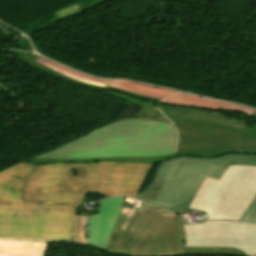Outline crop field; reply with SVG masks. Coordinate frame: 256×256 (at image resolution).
<instances>
[{
	"label": "crop field",
	"instance_id": "8a807250",
	"mask_svg": "<svg viewBox=\"0 0 256 256\" xmlns=\"http://www.w3.org/2000/svg\"><path fill=\"white\" fill-rule=\"evenodd\" d=\"M155 165L21 162L0 171V237L28 238L32 204H72L87 192L132 197Z\"/></svg>",
	"mask_w": 256,
	"mask_h": 256
},
{
	"label": "crop field",
	"instance_id": "ac0d7876",
	"mask_svg": "<svg viewBox=\"0 0 256 256\" xmlns=\"http://www.w3.org/2000/svg\"><path fill=\"white\" fill-rule=\"evenodd\" d=\"M176 141L173 124L124 119L109 123L36 157L155 156L174 153Z\"/></svg>",
	"mask_w": 256,
	"mask_h": 256
},
{
	"label": "crop field",
	"instance_id": "34b2d1b8",
	"mask_svg": "<svg viewBox=\"0 0 256 256\" xmlns=\"http://www.w3.org/2000/svg\"><path fill=\"white\" fill-rule=\"evenodd\" d=\"M228 166L215 159H170L159 164L146 189L133 198L171 211L190 202L206 176L219 179Z\"/></svg>",
	"mask_w": 256,
	"mask_h": 256
},
{
	"label": "crop field",
	"instance_id": "412701ff",
	"mask_svg": "<svg viewBox=\"0 0 256 256\" xmlns=\"http://www.w3.org/2000/svg\"><path fill=\"white\" fill-rule=\"evenodd\" d=\"M256 195V166L231 164L219 180L206 177L189 208L208 214L206 219L239 221Z\"/></svg>",
	"mask_w": 256,
	"mask_h": 256
},
{
	"label": "crop field",
	"instance_id": "f4fd0767",
	"mask_svg": "<svg viewBox=\"0 0 256 256\" xmlns=\"http://www.w3.org/2000/svg\"><path fill=\"white\" fill-rule=\"evenodd\" d=\"M185 255L256 253V225L231 221L184 224Z\"/></svg>",
	"mask_w": 256,
	"mask_h": 256
},
{
	"label": "crop field",
	"instance_id": "dd49c442",
	"mask_svg": "<svg viewBox=\"0 0 256 256\" xmlns=\"http://www.w3.org/2000/svg\"><path fill=\"white\" fill-rule=\"evenodd\" d=\"M178 129V156L214 158L228 152L235 153L240 131L248 123L240 121L237 128L166 115Z\"/></svg>",
	"mask_w": 256,
	"mask_h": 256
},
{
	"label": "crop field",
	"instance_id": "e52e79f7",
	"mask_svg": "<svg viewBox=\"0 0 256 256\" xmlns=\"http://www.w3.org/2000/svg\"><path fill=\"white\" fill-rule=\"evenodd\" d=\"M29 239L85 243V217L71 205H33Z\"/></svg>",
	"mask_w": 256,
	"mask_h": 256
},
{
	"label": "crop field",
	"instance_id": "d8731c3e",
	"mask_svg": "<svg viewBox=\"0 0 256 256\" xmlns=\"http://www.w3.org/2000/svg\"><path fill=\"white\" fill-rule=\"evenodd\" d=\"M175 216L158 209L148 230L133 231L129 256H175Z\"/></svg>",
	"mask_w": 256,
	"mask_h": 256
},
{
	"label": "crop field",
	"instance_id": "5a996713",
	"mask_svg": "<svg viewBox=\"0 0 256 256\" xmlns=\"http://www.w3.org/2000/svg\"><path fill=\"white\" fill-rule=\"evenodd\" d=\"M124 197H110L99 201V211L88 215V242L99 249L105 250L121 208Z\"/></svg>",
	"mask_w": 256,
	"mask_h": 256
},
{
	"label": "crop field",
	"instance_id": "3316defc",
	"mask_svg": "<svg viewBox=\"0 0 256 256\" xmlns=\"http://www.w3.org/2000/svg\"><path fill=\"white\" fill-rule=\"evenodd\" d=\"M156 211L157 208L141 203L127 230L112 232L107 251L128 256L132 230L147 229Z\"/></svg>",
	"mask_w": 256,
	"mask_h": 256
},
{
	"label": "crop field",
	"instance_id": "28ad6ade",
	"mask_svg": "<svg viewBox=\"0 0 256 256\" xmlns=\"http://www.w3.org/2000/svg\"><path fill=\"white\" fill-rule=\"evenodd\" d=\"M160 103L172 106H189L196 108H203L217 111L218 107L228 109L231 111L241 112L246 115H251L253 110L240 107L238 105L213 101L208 99L199 98L193 95H179L170 97Z\"/></svg>",
	"mask_w": 256,
	"mask_h": 256
},
{
	"label": "crop field",
	"instance_id": "d1516ede",
	"mask_svg": "<svg viewBox=\"0 0 256 256\" xmlns=\"http://www.w3.org/2000/svg\"><path fill=\"white\" fill-rule=\"evenodd\" d=\"M159 109L164 112L170 111V115H176L186 118H192L212 123H217L229 127H236L235 122L236 119H230L222 115L221 113L203 110V109H196V108H189V107H171V106H164L160 105Z\"/></svg>",
	"mask_w": 256,
	"mask_h": 256
},
{
	"label": "crop field",
	"instance_id": "22f410ed",
	"mask_svg": "<svg viewBox=\"0 0 256 256\" xmlns=\"http://www.w3.org/2000/svg\"><path fill=\"white\" fill-rule=\"evenodd\" d=\"M45 241L0 239V256H45Z\"/></svg>",
	"mask_w": 256,
	"mask_h": 256
},
{
	"label": "crop field",
	"instance_id": "cbeb9de0",
	"mask_svg": "<svg viewBox=\"0 0 256 256\" xmlns=\"http://www.w3.org/2000/svg\"><path fill=\"white\" fill-rule=\"evenodd\" d=\"M172 157H174L173 154L160 155L155 157H118V158H84V159L32 158L28 161L36 164L74 163V162H91V161H114L119 163H160Z\"/></svg>",
	"mask_w": 256,
	"mask_h": 256
},
{
	"label": "crop field",
	"instance_id": "5142ce71",
	"mask_svg": "<svg viewBox=\"0 0 256 256\" xmlns=\"http://www.w3.org/2000/svg\"><path fill=\"white\" fill-rule=\"evenodd\" d=\"M104 93L141 107L142 109L132 114L135 116L146 115V114L158 111L156 108L150 105L161 100V99L151 98V97L119 90L109 86L105 89Z\"/></svg>",
	"mask_w": 256,
	"mask_h": 256
},
{
	"label": "crop field",
	"instance_id": "d9b57169",
	"mask_svg": "<svg viewBox=\"0 0 256 256\" xmlns=\"http://www.w3.org/2000/svg\"><path fill=\"white\" fill-rule=\"evenodd\" d=\"M109 86L161 99H165L171 95L181 93L177 91L165 90L143 84L119 80H111Z\"/></svg>",
	"mask_w": 256,
	"mask_h": 256
},
{
	"label": "crop field",
	"instance_id": "733c2abd",
	"mask_svg": "<svg viewBox=\"0 0 256 256\" xmlns=\"http://www.w3.org/2000/svg\"><path fill=\"white\" fill-rule=\"evenodd\" d=\"M215 159L221 160L226 163H239V164H250V165H256V155L252 154H226L219 156ZM240 221H246V222H255L256 223V197L253 200V202L250 204L248 209L243 214Z\"/></svg>",
	"mask_w": 256,
	"mask_h": 256
},
{
	"label": "crop field",
	"instance_id": "4a817a6b",
	"mask_svg": "<svg viewBox=\"0 0 256 256\" xmlns=\"http://www.w3.org/2000/svg\"><path fill=\"white\" fill-rule=\"evenodd\" d=\"M14 52L26 64L32 66L33 68H35V69H37V70H39L41 72H44L46 74L52 75V76H54L56 78H59V79H61L63 81H67V82H69L71 84H74V85H77V86H80V87L88 88V89H91V90H96V91H99L101 93L105 89L103 87L92 86V85H88L86 83L78 82V81H76V80H74L72 78H69V77H67L65 75H62V74H60L58 72H55V71H53V70H51V69H49V68H47V67H45V66H43V65H41L39 63L34 62L36 59H38L39 56H36L34 54H27V53H22V52H16V51H14Z\"/></svg>",
	"mask_w": 256,
	"mask_h": 256
},
{
	"label": "crop field",
	"instance_id": "bc2a9ffb",
	"mask_svg": "<svg viewBox=\"0 0 256 256\" xmlns=\"http://www.w3.org/2000/svg\"><path fill=\"white\" fill-rule=\"evenodd\" d=\"M36 62H39L45 66H48L62 74H65L69 77H72L78 81H82V82H86L88 84H93V85H98V86H103V87H106L107 83H108V80H103V79H95V78H92V77H89V76H86V75H83V74H80V73H77L75 71H72L68 68H65V67H62L56 63H51L43 58H39L38 60H36Z\"/></svg>",
	"mask_w": 256,
	"mask_h": 256
},
{
	"label": "crop field",
	"instance_id": "214f88e0",
	"mask_svg": "<svg viewBox=\"0 0 256 256\" xmlns=\"http://www.w3.org/2000/svg\"><path fill=\"white\" fill-rule=\"evenodd\" d=\"M236 153L256 154V125L253 124L250 130L242 129Z\"/></svg>",
	"mask_w": 256,
	"mask_h": 256
},
{
	"label": "crop field",
	"instance_id": "92a150f3",
	"mask_svg": "<svg viewBox=\"0 0 256 256\" xmlns=\"http://www.w3.org/2000/svg\"><path fill=\"white\" fill-rule=\"evenodd\" d=\"M135 210L136 208L127 207V203L123 202L113 230H125Z\"/></svg>",
	"mask_w": 256,
	"mask_h": 256
},
{
	"label": "crop field",
	"instance_id": "dafd665d",
	"mask_svg": "<svg viewBox=\"0 0 256 256\" xmlns=\"http://www.w3.org/2000/svg\"><path fill=\"white\" fill-rule=\"evenodd\" d=\"M183 217L176 216L175 222H177V252L176 256L184 255V243H183Z\"/></svg>",
	"mask_w": 256,
	"mask_h": 256
},
{
	"label": "crop field",
	"instance_id": "00972430",
	"mask_svg": "<svg viewBox=\"0 0 256 256\" xmlns=\"http://www.w3.org/2000/svg\"><path fill=\"white\" fill-rule=\"evenodd\" d=\"M189 204L190 203H188V204H186V205H184V206H182V207H180V208H178V209H176V210H174V211H172V212H174V213H177V214H180V215H183V213L184 212H187L188 211V206H189Z\"/></svg>",
	"mask_w": 256,
	"mask_h": 256
},
{
	"label": "crop field",
	"instance_id": "a9b5d70f",
	"mask_svg": "<svg viewBox=\"0 0 256 256\" xmlns=\"http://www.w3.org/2000/svg\"><path fill=\"white\" fill-rule=\"evenodd\" d=\"M138 119H147V120H152V121H159V122H168L171 123L168 119H158V118H152V117H146V116H141Z\"/></svg>",
	"mask_w": 256,
	"mask_h": 256
},
{
	"label": "crop field",
	"instance_id": "4177f3b9",
	"mask_svg": "<svg viewBox=\"0 0 256 256\" xmlns=\"http://www.w3.org/2000/svg\"><path fill=\"white\" fill-rule=\"evenodd\" d=\"M147 116L159 117V118H166L165 116H163V115L161 114L160 111L155 112V113H152V114H149V115H147Z\"/></svg>",
	"mask_w": 256,
	"mask_h": 256
}]
</instances>
